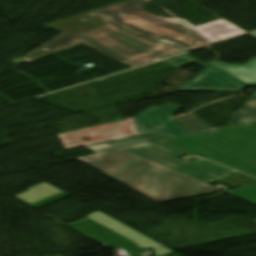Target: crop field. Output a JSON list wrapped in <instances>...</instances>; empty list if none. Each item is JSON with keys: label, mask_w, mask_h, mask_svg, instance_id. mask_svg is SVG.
<instances>
[{"label": "crop field", "mask_w": 256, "mask_h": 256, "mask_svg": "<svg viewBox=\"0 0 256 256\" xmlns=\"http://www.w3.org/2000/svg\"><path fill=\"white\" fill-rule=\"evenodd\" d=\"M150 0H128L112 6L91 11V15L79 20L52 27L58 23L80 16L48 24V27L64 31L76 28L96 19L100 21L89 24L78 31L86 32L102 24L110 22L130 33L161 41L184 51L218 42L242 33L244 31L220 20L200 27L180 19L156 18L142 10V4ZM160 42V43H161Z\"/></svg>", "instance_id": "crop-field-1"}, {"label": "crop field", "mask_w": 256, "mask_h": 256, "mask_svg": "<svg viewBox=\"0 0 256 256\" xmlns=\"http://www.w3.org/2000/svg\"><path fill=\"white\" fill-rule=\"evenodd\" d=\"M80 160L158 203L219 191L124 151Z\"/></svg>", "instance_id": "crop-field-2"}, {"label": "crop field", "mask_w": 256, "mask_h": 256, "mask_svg": "<svg viewBox=\"0 0 256 256\" xmlns=\"http://www.w3.org/2000/svg\"><path fill=\"white\" fill-rule=\"evenodd\" d=\"M81 43L130 67L184 52L173 46L130 34L109 23L86 33L67 29L43 46L56 53Z\"/></svg>", "instance_id": "crop-field-3"}, {"label": "crop field", "mask_w": 256, "mask_h": 256, "mask_svg": "<svg viewBox=\"0 0 256 256\" xmlns=\"http://www.w3.org/2000/svg\"><path fill=\"white\" fill-rule=\"evenodd\" d=\"M163 141L256 177V127L250 123Z\"/></svg>", "instance_id": "crop-field-4"}, {"label": "crop field", "mask_w": 256, "mask_h": 256, "mask_svg": "<svg viewBox=\"0 0 256 256\" xmlns=\"http://www.w3.org/2000/svg\"><path fill=\"white\" fill-rule=\"evenodd\" d=\"M129 153L170 168L207 184L213 183L236 171L214 164L205 159H195L185 163L179 159L181 155L169 152L167 150L146 145L138 148L125 150Z\"/></svg>", "instance_id": "crop-field-5"}, {"label": "crop field", "mask_w": 256, "mask_h": 256, "mask_svg": "<svg viewBox=\"0 0 256 256\" xmlns=\"http://www.w3.org/2000/svg\"><path fill=\"white\" fill-rule=\"evenodd\" d=\"M178 67L189 63H196L204 68L193 78L185 82L177 91H224V92H240L246 86H256L254 84H243L230 75L210 67L186 54L174 58L163 60Z\"/></svg>", "instance_id": "crop-field-6"}, {"label": "crop field", "mask_w": 256, "mask_h": 256, "mask_svg": "<svg viewBox=\"0 0 256 256\" xmlns=\"http://www.w3.org/2000/svg\"><path fill=\"white\" fill-rule=\"evenodd\" d=\"M182 106L172 102L160 107L152 106L135 116L136 129L140 133L163 130L176 137L190 134L185 130L172 114Z\"/></svg>", "instance_id": "crop-field-7"}, {"label": "crop field", "mask_w": 256, "mask_h": 256, "mask_svg": "<svg viewBox=\"0 0 256 256\" xmlns=\"http://www.w3.org/2000/svg\"><path fill=\"white\" fill-rule=\"evenodd\" d=\"M169 138H175V137L172 135H169L163 131H158V132H152V133L131 136V137H127V138H122V139H118V140L108 141V142L99 143V144H95V145H90V146H86V148L95 154H99V153H105V152H110V151H116V150H120L123 148L131 147V146L151 143V144L158 145V146H161V147L173 150V151H177V152L186 154L188 156L194 155L192 153H189L187 151H184L182 149H179L177 147H174L172 145H169L167 143L160 141V140L169 139ZM104 144H107L110 147L95 149V150H92L90 148L93 146L104 145Z\"/></svg>", "instance_id": "crop-field-8"}, {"label": "crop field", "mask_w": 256, "mask_h": 256, "mask_svg": "<svg viewBox=\"0 0 256 256\" xmlns=\"http://www.w3.org/2000/svg\"><path fill=\"white\" fill-rule=\"evenodd\" d=\"M68 225L102 244L105 242H109L114 246L130 250L129 240L119 236L118 234L110 231L109 229L99 225L98 223L88 218Z\"/></svg>", "instance_id": "crop-field-9"}, {"label": "crop field", "mask_w": 256, "mask_h": 256, "mask_svg": "<svg viewBox=\"0 0 256 256\" xmlns=\"http://www.w3.org/2000/svg\"><path fill=\"white\" fill-rule=\"evenodd\" d=\"M256 37L255 34H251ZM215 68H218L228 74H230L233 78L243 82V83H255L256 84V58L252 59L246 65H228L219 61H214L210 64Z\"/></svg>", "instance_id": "crop-field-10"}, {"label": "crop field", "mask_w": 256, "mask_h": 256, "mask_svg": "<svg viewBox=\"0 0 256 256\" xmlns=\"http://www.w3.org/2000/svg\"><path fill=\"white\" fill-rule=\"evenodd\" d=\"M241 108L231 113V119L223 122L228 126L256 121V94L246 100Z\"/></svg>", "instance_id": "crop-field-11"}, {"label": "crop field", "mask_w": 256, "mask_h": 256, "mask_svg": "<svg viewBox=\"0 0 256 256\" xmlns=\"http://www.w3.org/2000/svg\"><path fill=\"white\" fill-rule=\"evenodd\" d=\"M180 124L187 129L191 134L192 133H197V132H202L209 130L211 127L210 124L199 118L193 113H190L180 119H178Z\"/></svg>", "instance_id": "crop-field-12"}, {"label": "crop field", "mask_w": 256, "mask_h": 256, "mask_svg": "<svg viewBox=\"0 0 256 256\" xmlns=\"http://www.w3.org/2000/svg\"><path fill=\"white\" fill-rule=\"evenodd\" d=\"M239 176L244 177V178H241ZM226 179H228L229 181H227ZM231 181H234V183ZM217 182L223 183V184L231 186L233 188H237V187H244V186L256 184V179L252 178L250 176H247L245 174H242L240 172H236V173H234L228 177H225ZM235 182L240 183L242 185H239Z\"/></svg>", "instance_id": "crop-field-13"}, {"label": "crop field", "mask_w": 256, "mask_h": 256, "mask_svg": "<svg viewBox=\"0 0 256 256\" xmlns=\"http://www.w3.org/2000/svg\"><path fill=\"white\" fill-rule=\"evenodd\" d=\"M226 193L256 205V186L241 188Z\"/></svg>", "instance_id": "crop-field-14"}, {"label": "crop field", "mask_w": 256, "mask_h": 256, "mask_svg": "<svg viewBox=\"0 0 256 256\" xmlns=\"http://www.w3.org/2000/svg\"><path fill=\"white\" fill-rule=\"evenodd\" d=\"M41 48H43V46L42 47H40L39 49H37L36 51H34L33 53H31V54H29L28 56H26L25 58H23L27 63H29V62H31V61H34V60H37V59H39V57L38 56H40V55H42V54H45V53H48L47 55H50V54H52V52L51 51H49L48 49H46L45 47V49L44 50H42L40 53H38L37 55H35L34 57H32L30 60H26L28 57H30L31 55H33V54H35L37 51H39ZM47 55H45V56H47ZM45 56H43V57H45ZM42 58V57H41Z\"/></svg>", "instance_id": "crop-field-15"}, {"label": "crop field", "mask_w": 256, "mask_h": 256, "mask_svg": "<svg viewBox=\"0 0 256 256\" xmlns=\"http://www.w3.org/2000/svg\"><path fill=\"white\" fill-rule=\"evenodd\" d=\"M68 196H70V195L67 194V193H65V194H63V195H60V196L55 197V198H52V199H50V200H47V201L42 202V203H40V204L34 205V206H32V207L35 208V209H37V208H39V207H42V206L47 205V204H50V203H52V202H55V201H57V200H60V199H62V198L68 197Z\"/></svg>", "instance_id": "crop-field-16"}, {"label": "crop field", "mask_w": 256, "mask_h": 256, "mask_svg": "<svg viewBox=\"0 0 256 256\" xmlns=\"http://www.w3.org/2000/svg\"><path fill=\"white\" fill-rule=\"evenodd\" d=\"M253 124H255V125H256V122H253Z\"/></svg>", "instance_id": "crop-field-17"}]
</instances>
